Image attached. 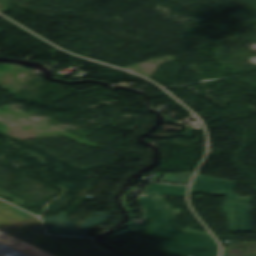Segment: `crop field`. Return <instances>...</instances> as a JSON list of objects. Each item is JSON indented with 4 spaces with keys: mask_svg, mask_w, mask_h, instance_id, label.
<instances>
[{
    "mask_svg": "<svg viewBox=\"0 0 256 256\" xmlns=\"http://www.w3.org/2000/svg\"><path fill=\"white\" fill-rule=\"evenodd\" d=\"M143 222L112 236L113 241L137 256H217L219 246L209 233L182 228L164 198L140 197ZM143 210V211H144ZM137 229V231H134Z\"/></svg>",
    "mask_w": 256,
    "mask_h": 256,
    "instance_id": "crop-field-1",
    "label": "crop field"
},
{
    "mask_svg": "<svg viewBox=\"0 0 256 256\" xmlns=\"http://www.w3.org/2000/svg\"><path fill=\"white\" fill-rule=\"evenodd\" d=\"M235 182L218 180L197 175L191 192L228 195L223 203V211L228 218L229 231H252L251 200L234 194Z\"/></svg>",
    "mask_w": 256,
    "mask_h": 256,
    "instance_id": "crop-field-2",
    "label": "crop field"
},
{
    "mask_svg": "<svg viewBox=\"0 0 256 256\" xmlns=\"http://www.w3.org/2000/svg\"><path fill=\"white\" fill-rule=\"evenodd\" d=\"M88 239L29 236L28 245L18 249L30 256H100L87 244Z\"/></svg>",
    "mask_w": 256,
    "mask_h": 256,
    "instance_id": "crop-field-3",
    "label": "crop field"
},
{
    "mask_svg": "<svg viewBox=\"0 0 256 256\" xmlns=\"http://www.w3.org/2000/svg\"><path fill=\"white\" fill-rule=\"evenodd\" d=\"M98 215V217H94ZM109 213L96 212L81 223L67 221L64 213L44 219L49 234L87 237L92 226L108 221Z\"/></svg>",
    "mask_w": 256,
    "mask_h": 256,
    "instance_id": "crop-field-4",
    "label": "crop field"
},
{
    "mask_svg": "<svg viewBox=\"0 0 256 256\" xmlns=\"http://www.w3.org/2000/svg\"><path fill=\"white\" fill-rule=\"evenodd\" d=\"M187 187L151 184L145 195L173 196L185 198Z\"/></svg>",
    "mask_w": 256,
    "mask_h": 256,
    "instance_id": "crop-field-5",
    "label": "crop field"
}]
</instances>
